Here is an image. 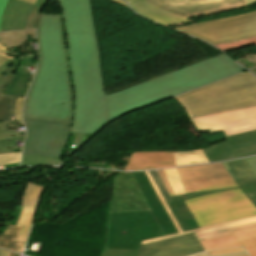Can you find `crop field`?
I'll use <instances>...</instances> for the list:
<instances>
[{"label":"crop field","mask_w":256,"mask_h":256,"mask_svg":"<svg viewBox=\"0 0 256 256\" xmlns=\"http://www.w3.org/2000/svg\"><path fill=\"white\" fill-rule=\"evenodd\" d=\"M37 44L40 63L23 111L27 128L23 154L62 158L73 112L60 15L41 14Z\"/></svg>","instance_id":"obj_1"},{"label":"crop field","mask_w":256,"mask_h":256,"mask_svg":"<svg viewBox=\"0 0 256 256\" xmlns=\"http://www.w3.org/2000/svg\"><path fill=\"white\" fill-rule=\"evenodd\" d=\"M72 67L75 111L72 132L96 133L108 123L91 0H58Z\"/></svg>","instance_id":"obj_2"},{"label":"crop field","mask_w":256,"mask_h":256,"mask_svg":"<svg viewBox=\"0 0 256 256\" xmlns=\"http://www.w3.org/2000/svg\"><path fill=\"white\" fill-rule=\"evenodd\" d=\"M176 169L186 192L181 196L199 228L256 215L222 163Z\"/></svg>","instance_id":"obj_3"},{"label":"crop field","mask_w":256,"mask_h":256,"mask_svg":"<svg viewBox=\"0 0 256 256\" xmlns=\"http://www.w3.org/2000/svg\"><path fill=\"white\" fill-rule=\"evenodd\" d=\"M243 68V67H242ZM224 54L106 95L109 121L163 99L244 71Z\"/></svg>","instance_id":"obj_4"},{"label":"crop field","mask_w":256,"mask_h":256,"mask_svg":"<svg viewBox=\"0 0 256 256\" xmlns=\"http://www.w3.org/2000/svg\"><path fill=\"white\" fill-rule=\"evenodd\" d=\"M106 248L138 250L141 242L164 236L131 173L114 176Z\"/></svg>","instance_id":"obj_5"},{"label":"crop field","mask_w":256,"mask_h":256,"mask_svg":"<svg viewBox=\"0 0 256 256\" xmlns=\"http://www.w3.org/2000/svg\"><path fill=\"white\" fill-rule=\"evenodd\" d=\"M188 118L256 106V78L248 72L174 97Z\"/></svg>","instance_id":"obj_6"},{"label":"crop field","mask_w":256,"mask_h":256,"mask_svg":"<svg viewBox=\"0 0 256 256\" xmlns=\"http://www.w3.org/2000/svg\"><path fill=\"white\" fill-rule=\"evenodd\" d=\"M176 29L214 45L254 38L256 37V12L191 24Z\"/></svg>","instance_id":"obj_7"},{"label":"crop field","mask_w":256,"mask_h":256,"mask_svg":"<svg viewBox=\"0 0 256 256\" xmlns=\"http://www.w3.org/2000/svg\"><path fill=\"white\" fill-rule=\"evenodd\" d=\"M32 38H35V30L0 33V44L10 49L6 55L22 58L16 74L1 92L2 94L14 96L11 102V121H14V109L16 101L18 97L24 98L33 77V74L24 73L25 67L26 65L34 67L37 65L36 62L32 61L35 55L31 53L21 56L15 53L13 48H19L26 45L28 39Z\"/></svg>","instance_id":"obj_8"},{"label":"crop field","mask_w":256,"mask_h":256,"mask_svg":"<svg viewBox=\"0 0 256 256\" xmlns=\"http://www.w3.org/2000/svg\"><path fill=\"white\" fill-rule=\"evenodd\" d=\"M198 132L224 131L225 137L256 130V107L190 119Z\"/></svg>","instance_id":"obj_9"},{"label":"crop field","mask_w":256,"mask_h":256,"mask_svg":"<svg viewBox=\"0 0 256 256\" xmlns=\"http://www.w3.org/2000/svg\"><path fill=\"white\" fill-rule=\"evenodd\" d=\"M186 18L237 9L246 6L244 0H145Z\"/></svg>","instance_id":"obj_10"},{"label":"crop field","mask_w":256,"mask_h":256,"mask_svg":"<svg viewBox=\"0 0 256 256\" xmlns=\"http://www.w3.org/2000/svg\"><path fill=\"white\" fill-rule=\"evenodd\" d=\"M47 0H37L34 5L9 0L1 18V31L36 28L40 11Z\"/></svg>","instance_id":"obj_11"},{"label":"crop field","mask_w":256,"mask_h":256,"mask_svg":"<svg viewBox=\"0 0 256 256\" xmlns=\"http://www.w3.org/2000/svg\"><path fill=\"white\" fill-rule=\"evenodd\" d=\"M227 141L203 148L209 162L256 154V131L226 137Z\"/></svg>","instance_id":"obj_12"},{"label":"crop field","mask_w":256,"mask_h":256,"mask_svg":"<svg viewBox=\"0 0 256 256\" xmlns=\"http://www.w3.org/2000/svg\"><path fill=\"white\" fill-rule=\"evenodd\" d=\"M194 233L141 246L138 256H188L203 252Z\"/></svg>","instance_id":"obj_13"},{"label":"crop field","mask_w":256,"mask_h":256,"mask_svg":"<svg viewBox=\"0 0 256 256\" xmlns=\"http://www.w3.org/2000/svg\"><path fill=\"white\" fill-rule=\"evenodd\" d=\"M132 174L150 211L152 212L163 233L165 235L176 233V228L174 227L172 221L170 220L157 195L155 194L145 172H132Z\"/></svg>","instance_id":"obj_14"},{"label":"crop field","mask_w":256,"mask_h":256,"mask_svg":"<svg viewBox=\"0 0 256 256\" xmlns=\"http://www.w3.org/2000/svg\"><path fill=\"white\" fill-rule=\"evenodd\" d=\"M234 236L203 241L206 251L243 246L250 256H256V228L233 232Z\"/></svg>","instance_id":"obj_15"},{"label":"crop field","mask_w":256,"mask_h":256,"mask_svg":"<svg viewBox=\"0 0 256 256\" xmlns=\"http://www.w3.org/2000/svg\"><path fill=\"white\" fill-rule=\"evenodd\" d=\"M175 166L173 152H134L125 170H148Z\"/></svg>","instance_id":"obj_16"},{"label":"crop field","mask_w":256,"mask_h":256,"mask_svg":"<svg viewBox=\"0 0 256 256\" xmlns=\"http://www.w3.org/2000/svg\"><path fill=\"white\" fill-rule=\"evenodd\" d=\"M130 5L137 13L164 25L190 21L184 17L174 15L154 5H151L143 0L130 2Z\"/></svg>","instance_id":"obj_17"},{"label":"crop field","mask_w":256,"mask_h":256,"mask_svg":"<svg viewBox=\"0 0 256 256\" xmlns=\"http://www.w3.org/2000/svg\"><path fill=\"white\" fill-rule=\"evenodd\" d=\"M172 201L167 202L182 231L197 229L198 226L192 218L180 196L171 197Z\"/></svg>","instance_id":"obj_18"},{"label":"crop field","mask_w":256,"mask_h":256,"mask_svg":"<svg viewBox=\"0 0 256 256\" xmlns=\"http://www.w3.org/2000/svg\"><path fill=\"white\" fill-rule=\"evenodd\" d=\"M223 165L235 182L255 178L246 158L224 162Z\"/></svg>","instance_id":"obj_19"},{"label":"crop field","mask_w":256,"mask_h":256,"mask_svg":"<svg viewBox=\"0 0 256 256\" xmlns=\"http://www.w3.org/2000/svg\"><path fill=\"white\" fill-rule=\"evenodd\" d=\"M20 229L19 227L10 225L5 235L0 234V247L22 253L25 243L15 242Z\"/></svg>","instance_id":"obj_20"},{"label":"crop field","mask_w":256,"mask_h":256,"mask_svg":"<svg viewBox=\"0 0 256 256\" xmlns=\"http://www.w3.org/2000/svg\"><path fill=\"white\" fill-rule=\"evenodd\" d=\"M175 163L178 165L207 163L208 160L202 149L196 151L174 152Z\"/></svg>","instance_id":"obj_21"},{"label":"crop field","mask_w":256,"mask_h":256,"mask_svg":"<svg viewBox=\"0 0 256 256\" xmlns=\"http://www.w3.org/2000/svg\"><path fill=\"white\" fill-rule=\"evenodd\" d=\"M254 221H256V216L246 218V219H239V220H235V221H230V222H226V223H222V224H218V225H214V226H210V227H206V228H202V229H197V230H191V231H185V232H181V233H177V234H172V235L164 236L162 238L145 241L142 244L152 242V241L161 240V239H165V238H169V237H174V236H178V235H182V234H186V233H190V232H194V231L196 232V234H199V233H204V232H208V231H213V230H218V229H222V228L241 225V224H245V223H250V222H254Z\"/></svg>","instance_id":"obj_22"},{"label":"crop field","mask_w":256,"mask_h":256,"mask_svg":"<svg viewBox=\"0 0 256 256\" xmlns=\"http://www.w3.org/2000/svg\"><path fill=\"white\" fill-rule=\"evenodd\" d=\"M33 207L22 206V214L16 226L22 227L16 241L25 242L35 213Z\"/></svg>","instance_id":"obj_23"},{"label":"crop field","mask_w":256,"mask_h":256,"mask_svg":"<svg viewBox=\"0 0 256 256\" xmlns=\"http://www.w3.org/2000/svg\"><path fill=\"white\" fill-rule=\"evenodd\" d=\"M21 59L7 60L0 66V92L13 77Z\"/></svg>","instance_id":"obj_24"},{"label":"crop field","mask_w":256,"mask_h":256,"mask_svg":"<svg viewBox=\"0 0 256 256\" xmlns=\"http://www.w3.org/2000/svg\"><path fill=\"white\" fill-rule=\"evenodd\" d=\"M43 189V186L29 183L23 196L22 205L36 207Z\"/></svg>","instance_id":"obj_25"},{"label":"crop field","mask_w":256,"mask_h":256,"mask_svg":"<svg viewBox=\"0 0 256 256\" xmlns=\"http://www.w3.org/2000/svg\"><path fill=\"white\" fill-rule=\"evenodd\" d=\"M60 159L23 155L22 165H58Z\"/></svg>","instance_id":"obj_26"},{"label":"crop field","mask_w":256,"mask_h":256,"mask_svg":"<svg viewBox=\"0 0 256 256\" xmlns=\"http://www.w3.org/2000/svg\"><path fill=\"white\" fill-rule=\"evenodd\" d=\"M17 122H0V139L24 137L20 132L16 133Z\"/></svg>","instance_id":"obj_27"},{"label":"crop field","mask_w":256,"mask_h":256,"mask_svg":"<svg viewBox=\"0 0 256 256\" xmlns=\"http://www.w3.org/2000/svg\"><path fill=\"white\" fill-rule=\"evenodd\" d=\"M176 195L185 193L175 168L164 170Z\"/></svg>","instance_id":"obj_28"},{"label":"crop field","mask_w":256,"mask_h":256,"mask_svg":"<svg viewBox=\"0 0 256 256\" xmlns=\"http://www.w3.org/2000/svg\"><path fill=\"white\" fill-rule=\"evenodd\" d=\"M251 202L256 206V179L237 183Z\"/></svg>","instance_id":"obj_29"},{"label":"crop field","mask_w":256,"mask_h":256,"mask_svg":"<svg viewBox=\"0 0 256 256\" xmlns=\"http://www.w3.org/2000/svg\"><path fill=\"white\" fill-rule=\"evenodd\" d=\"M12 98L0 94V121H10V102Z\"/></svg>","instance_id":"obj_30"},{"label":"crop field","mask_w":256,"mask_h":256,"mask_svg":"<svg viewBox=\"0 0 256 256\" xmlns=\"http://www.w3.org/2000/svg\"><path fill=\"white\" fill-rule=\"evenodd\" d=\"M146 174H147V176H148V178H149V180H150V182H151V184H152V186H153L155 192L157 193V195H158L160 201L162 202L164 208L166 209V211H167V213L169 214L171 220L173 221L174 225L176 226L178 232H180L181 229H180L179 225L177 224V222H176L174 216L172 215V213H171L170 209L168 208L166 202L164 201L162 195L160 194V192H159V190L157 189L155 183L153 182L152 178L150 177L148 171H146Z\"/></svg>","instance_id":"obj_31"},{"label":"crop field","mask_w":256,"mask_h":256,"mask_svg":"<svg viewBox=\"0 0 256 256\" xmlns=\"http://www.w3.org/2000/svg\"><path fill=\"white\" fill-rule=\"evenodd\" d=\"M151 177L153 178L154 182L156 183L158 189L160 190L161 194L163 195L165 201L170 200L169 195L157 173V171H149Z\"/></svg>","instance_id":"obj_32"},{"label":"crop field","mask_w":256,"mask_h":256,"mask_svg":"<svg viewBox=\"0 0 256 256\" xmlns=\"http://www.w3.org/2000/svg\"><path fill=\"white\" fill-rule=\"evenodd\" d=\"M251 227H256V222L241 225V226H236V227H232V228L222 229V230H218V231L208 232V233H204V234H199L197 236H198V238H200V237H204V236H208V235L224 233V232H229V231H234V230H239V229H245V228H251Z\"/></svg>","instance_id":"obj_33"},{"label":"crop field","mask_w":256,"mask_h":256,"mask_svg":"<svg viewBox=\"0 0 256 256\" xmlns=\"http://www.w3.org/2000/svg\"><path fill=\"white\" fill-rule=\"evenodd\" d=\"M137 251L106 249L103 256H135Z\"/></svg>","instance_id":"obj_34"},{"label":"crop field","mask_w":256,"mask_h":256,"mask_svg":"<svg viewBox=\"0 0 256 256\" xmlns=\"http://www.w3.org/2000/svg\"><path fill=\"white\" fill-rule=\"evenodd\" d=\"M24 138L0 140V154L13 152L11 142L23 141Z\"/></svg>","instance_id":"obj_35"},{"label":"crop field","mask_w":256,"mask_h":256,"mask_svg":"<svg viewBox=\"0 0 256 256\" xmlns=\"http://www.w3.org/2000/svg\"><path fill=\"white\" fill-rule=\"evenodd\" d=\"M21 152L0 155V165L19 162Z\"/></svg>","instance_id":"obj_36"},{"label":"crop field","mask_w":256,"mask_h":256,"mask_svg":"<svg viewBox=\"0 0 256 256\" xmlns=\"http://www.w3.org/2000/svg\"><path fill=\"white\" fill-rule=\"evenodd\" d=\"M24 99L19 98L15 109V120H22V103Z\"/></svg>","instance_id":"obj_37"},{"label":"crop field","mask_w":256,"mask_h":256,"mask_svg":"<svg viewBox=\"0 0 256 256\" xmlns=\"http://www.w3.org/2000/svg\"><path fill=\"white\" fill-rule=\"evenodd\" d=\"M244 255H248L246 253V251L234 252V253L223 254V255H214V256H244ZM193 256H209V255L207 254V252H203V253L196 254V255H193Z\"/></svg>","instance_id":"obj_38"},{"label":"crop field","mask_w":256,"mask_h":256,"mask_svg":"<svg viewBox=\"0 0 256 256\" xmlns=\"http://www.w3.org/2000/svg\"><path fill=\"white\" fill-rule=\"evenodd\" d=\"M8 51L7 48L0 45V65L4 63L7 59H14L12 56L4 55Z\"/></svg>","instance_id":"obj_39"},{"label":"crop field","mask_w":256,"mask_h":256,"mask_svg":"<svg viewBox=\"0 0 256 256\" xmlns=\"http://www.w3.org/2000/svg\"><path fill=\"white\" fill-rule=\"evenodd\" d=\"M158 172H159V174H160V176H161V178H162V180H163V182H164V184H165V186H166V188H167L169 194H170L171 196H173L174 193H173V191H172V189H171V187H170V185H169V183H168V181H167V179H166V177H165L163 171L160 170V171H158Z\"/></svg>","instance_id":"obj_40"},{"label":"crop field","mask_w":256,"mask_h":256,"mask_svg":"<svg viewBox=\"0 0 256 256\" xmlns=\"http://www.w3.org/2000/svg\"><path fill=\"white\" fill-rule=\"evenodd\" d=\"M241 250H244V249H242V248H235V249H227V250H219V251H210L208 253H209V255H213V254L230 253V252L241 251Z\"/></svg>","instance_id":"obj_41"},{"label":"crop field","mask_w":256,"mask_h":256,"mask_svg":"<svg viewBox=\"0 0 256 256\" xmlns=\"http://www.w3.org/2000/svg\"><path fill=\"white\" fill-rule=\"evenodd\" d=\"M256 177V156L247 158ZM249 165V166H250Z\"/></svg>","instance_id":"obj_42"},{"label":"crop field","mask_w":256,"mask_h":256,"mask_svg":"<svg viewBox=\"0 0 256 256\" xmlns=\"http://www.w3.org/2000/svg\"><path fill=\"white\" fill-rule=\"evenodd\" d=\"M231 235H232L231 232L224 233V234H219V235H213V236H208V237L200 238V241L208 240V239H214V238H219V237H225V236H231Z\"/></svg>","instance_id":"obj_43"},{"label":"crop field","mask_w":256,"mask_h":256,"mask_svg":"<svg viewBox=\"0 0 256 256\" xmlns=\"http://www.w3.org/2000/svg\"><path fill=\"white\" fill-rule=\"evenodd\" d=\"M8 0H0V17L3 13L4 6Z\"/></svg>","instance_id":"obj_44"},{"label":"crop field","mask_w":256,"mask_h":256,"mask_svg":"<svg viewBox=\"0 0 256 256\" xmlns=\"http://www.w3.org/2000/svg\"><path fill=\"white\" fill-rule=\"evenodd\" d=\"M8 251L0 249V256H8Z\"/></svg>","instance_id":"obj_45"},{"label":"crop field","mask_w":256,"mask_h":256,"mask_svg":"<svg viewBox=\"0 0 256 256\" xmlns=\"http://www.w3.org/2000/svg\"><path fill=\"white\" fill-rule=\"evenodd\" d=\"M19 166V163L4 165L5 168Z\"/></svg>","instance_id":"obj_46"},{"label":"crop field","mask_w":256,"mask_h":256,"mask_svg":"<svg viewBox=\"0 0 256 256\" xmlns=\"http://www.w3.org/2000/svg\"><path fill=\"white\" fill-rule=\"evenodd\" d=\"M113 1H116V2H118V3L127 7V5L125 4V2L123 0H113Z\"/></svg>","instance_id":"obj_47"},{"label":"crop field","mask_w":256,"mask_h":256,"mask_svg":"<svg viewBox=\"0 0 256 256\" xmlns=\"http://www.w3.org/2000/svg\"><path fill=\"white\" fill-rule=\"evenodd\" d=\"M20 1H24V2H28V3L34 4V2H35L36 0H20Z\"/></svg>","instance_id":"obj_48"},{"label":"crop field","mask_w":256,"mask_h":256,"mask_svg":"<svg viewBox=\"0 0 256 256\" xmlns=\"http://www.w3.org/2000/svg\"><path fill=\"white\" fill-rule=\"evenodd\" d=\"M247 4L255 3L256 0H245Z\"/></svg>","instance_id":"obj_49"},{"label":"crop field","mask_w":256,"mask_h":256,"mask_svg":"<svg viewBox=\"0 0 256 256\" xmlns=\"http://www.w3.org/2000/svg\"><path fill=\"white\" fill-rule=\"evenodd\" d=\"M9 256H20V255L10 252V253H9Z\"/></svg>","instance_id":"obj_50"},{"label":"crop field","mask_w":256,"mask_h":256,"mask_svg":"<svg viewBox=\"0 0 256 256\" xmlns=\"http://www.w3.org/2000/svg\"><path fill=\"white\" fill-rule=\"evenodd\" d=\"M251 72H253L256 75V69L251 70Z\"/></svg>","instance_id":"obj_51"},{"label":"crop field","mask_w":256,"mask_h":256,"mask_svg":"<svg viewBox=\"0 0 256 256\" xmlns=\"http://www.w3.org/2000/svg\"><path fill=\"white\" fill-rule=\"evenodd\" d=\"M127 2L131 1V0H126Z\"/></svg>","instance_id":"obj_52"}]
</instances>
